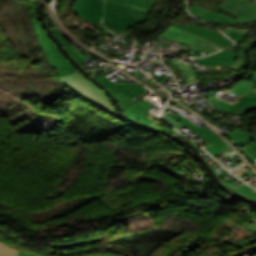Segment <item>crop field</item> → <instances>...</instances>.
<instances>
[{
  "instance_id": "crop-field-1",
  "label": "crop field",
  "mask_w": 256,
  "mask_h": 256,
  "mask_svg": "<svg viewBox=\"0 0 256 256\" xmlns=\"http://www.w3.org/2000/svg\"><path fill=\"white\" fill-rule=\"evenodd\" d=\"M151 8L127 0H106L103 24L110 30L124 33L131 26L145 22Z\"/></svg>"
},
{
  "instance_id": "crop-field-2",
  "label": "crop field",
  "mask_w": 256,
  "mask_h": 256,
  "mask_svg": "<svg viewBox=\"0 0 256 256\" xmlns=\"http://www.w3.org/2000/svg\"><path fill=\"white\" fill-rule=\"evenodd\" d=\"M60 80L81 98L120 118L115 112L110 100L107 99L104 93L94 84H92L87 78L82 76L79 71L65 76Z\"/></svg>"
},
{
  "instance_id": "crop-field-3",
  "label": "crop field",
  "mask_w": 256,
  "mask_h": 256,
  "mask_svg": "<svg viewBox=\"0 0 256 256\" xmlns=\"http://www.w3.org/2000/svg\"><path fill=\"white\" fill-rule=\"evenodd\" d=\"M256 85L246 81L230 89L232 93L237 94L229 103L212 97V93H208V98L219 111H226L230 114H240L249 109L256 107ZM217 93V92H213ZM223 111V112H224Z\"/></svg>"
},
{
  "instance_id": "crop-field-4",
  "label": "crop field",
  "mask_w": 256,
  "mask_h": 256,
  "mask_svg": "<svg viewBox=\"0 0 256 256\" xmlns=\"http://www.w3.org/2000/svg\"><path fill=\"white\" fill-rule=\"evenodd\" d=\"M38 39L45 50L47 59L56 68L60 78L77 71L75 67L60 53L50 38L44 32L38 18H32Z\"/></svg>"
},
{
  "instance_id": "crop-field-5",
  "label": "crop field",
  "mask_w": 256,
  "mask_h": 256,
  "mask_svg": "<svg viewBox=\"0 0 256 256\" xmlns=\"http://www.w3.org/2000/svg\"><path fill=\"white\" fill-rule=\"evenodd\" d=\"M159 36L190 45V46L186 47V51L190 50V49H196V48H201L202 50H204L206 52L209 51L211 53L214 51H217L215 48H213L207 44L211 41H208L201 37L190 34L186 31L178 29L174 26H170L165 32H163ZM211 43H213V42H211ZM213 44H215V43H213ZM215 45H217V44H215ZM217 46H219L221 49L224 48L220 45H217Z\"/></svg>"
},
{
  "instance_id": "crop-field-6",
  "label": "crop field",
  "mask_w": 256,
  "mask_h": 256,
  "mask_svg": "<svg viewBox=\"0 0 256 256\" xmlns=\"http://www.w3.org/2000/svg\"><path fill=\"white\" fill-rule=\"evenodd\" d=\"M219 8L239 16L234 20L237 23H246L256 20V1L225 0L223 6Z\"/></svg>"
},
{
  "instance_id": "crop-field-7",
  "label": "crop field",
  "mask_w": 256,
  "mask_h": 256,
  "mask_svg": "<svg viewBox=\"0 0 256 256\" xmlns=\"http://www.w3.org/2000/svg\"><path fill=\"white\" fill-rule=\"evenodd\" d=\"M103 8V0H78L73 6V10L77 15L94 23L101 21Z\"/></svg>"
},
{
  "instance_id": "crop-field-8",
  "label": "crop field",
  "mask_w": 256,
  "mask_h": 256,
  "mask_svg": "<svg viewBox=\"0 0 256 256\" xmlns=\"http://www.w3.org/2000/svg\"><path fill=\"white\" fill-rule=\"evenodd\" d=\"M172 25L178 27V28H181L183 30H186L190 33H193V34H196L198 36H201V37H204L206 39H209L215 43H218L224 47H227L229 46V39H227L225 36H223L222 34L216 32V31H213V30H210V29H207V28H204V27H201V26H198V25H194V24H189L187 26H181L177 23H173Z\"/></svg>"
},
{
  "instance_id": "crop-field-9",
  "label": "crop field",
  "mask_w": 256,
  "mask_h": 256,
  "mask_svg": "<svg viewBox=\"0 0 256 256\" xmlns=\"http://www.w3.org/2000/svg\"><path fill=\"white\" fill-rule=\"evenodd\" d=\"M95 79L105 85L113 93L114 96L123 92L133 98L147 91L145 88L138 84H114L103 75Z\"/></svg>"
},
{
  "instance_id": "crop-field-10",
  "label": "crop field",
  "mask_w": 256,
  "mask_h": 256,
  "mask_svg": "<svg viewBox=\"0 0 256 256\" xmlns=\"http://www.w3.org/2000/svg\"><path fill=\"white\" fill-rule=\"evenodd\" d=\"M189 11L194 15L206 21H218L224 23H235L232 18L221 15L219 13L204 9L195 3L189 5Z\"/></svg>"
},
{
  "instance_id": "crop-field-11",
  "label": "crop field",
  "mask_w": 256,
  "mask_h": 256,
  "mask_svg": "<svg viewBox=\"0 0 256 256\" xmlns=\"http://www.w3.org/2000/svg\"><path fill=\"white\" fill-rule=\"evenodd\" d=\"M235 52L221 51L219 53L196 59L197 62L203 65H221V64H232L234 61Z\"/></svg>"
},
{
  "instance_id": "crop-field-12",
  "label": "crop field",
  "mask_w": 256,
  "mask_h": 256,
  "mask_svg": "<svg viewBox=\"0 0 256 256\" xmlns=\"http://www.w3.org/2000/svg\"><path fill=\"white\" fill-rule=\"evenodd\" d=\"M173 117L178 119L179 121H181L183 124H185L187 127L191 128L195 132L199 133L201 136L206 138L208 141H210L217 147L220 148V147L226 145L219 138H217L212 132H210L208 129H206L204 126L199 128L195 124L191 123L190 121H188L187 119L183 118L182 116H180L178 114Z\"/></svg>"
},
{
  "instance_id": "crop-field-13",
  "label": "crop field",
  "mask_w": 256,
  "mask_h": 256,
  "mask_svg": "<svg viewBox=\"0 0 256 256\" xmlns=\"http://www.w3.org/2000/svg\"><path fill=\"white\" fill-rule=\"evenodd\" d=\"M225 134L229 136L235 142V144L239 147L243 145V143L247 140L248 137L256 140V136L246 134L242 131H230ZM240 141H242V143H240Z\"/></svg>"
},
{
  "instance_id": "crop-field-14",
  "label": "crop field",
  "mask_w": 256,
  "mask_h": 256,
  "mask_svg": "<svg viewBox=\"0 0 256 256\" xmlns=\"http://www.w3.org/2000/svg\"><path fill=\"white\" fill-rule=\"evenodd\" d=\"M52 31L55 33L57 38L60 40V42L63 44V46L66 48V50L69 52V54L72 56V58L77 61L80 64H84L85 62L78 56V54L70 47V45L66 42V40L60 35V33L53 28Z\"/></svg>"
},
{
  "instance_id": "crop-field-15",
  "label": "crop field",
  "mask_w": 256,
  "mask_h": 256,
  "mask_svg": "<svg viewBox=\"0 0 256 256\" xmlns=\"http://www.w3.org/2000/svg\"><path fill=\"white\" fill-rule=\"evenodd\" d=\"M249 29H237L232 27H227L225 30L226 34L230 36L233 40L239 43L241 40L240 36H245Z\"/></svg>"
},
{
  "instance_id": "crop-field-16",
  "label": "crop field",
  "mask_w": 256,
  "mask_h": 256,
  "mask_svg": "<svg viewBox=\"0 0 256 256\" xmlns=\"http://www.w3.org/2000/svg\"><path fill=\"white\" fill-rule=\"evenodd\" d=\"M246 228L251 230V231H253L254 233H256V222L250 224ZM255 242H256V237H253V238H250V239H247V240L235 243L233 245H234L235 248H240V247H244V246H247V245L255 243Z\"/></svg>"
},
{
  "instance_id": "crop-field-17",
  "label": "crop field",
  "mask_w": 256,
  "mask_h": 256,
  "mask_svg": "<svg viewBox=\"0 0 256 256\" xmlns=\"http://www.w3.org/2000/svg\"><path fill=\"white\" fill-rule=\"evenodd\" d=\"M115 98H117L122 109L135 102L131 97H129L123 93L116 96Z\"/></svg>"
},
{
  "instance_id": "crop-field-18",
  "label": "crop field",
  "mask_w": 256,
  "mask_h": 256,
  "mask_svg": "<svg viewBox=\"0 0 256 256\" xmlns=\"http://www.w3.org/2000/svg\"><path fill=\"white\" fill-rule=\"evenodd\" d=\"M124 112L126 113L127 116H130L133 120L139 122L126 108H125ZM140 123H141V122H140ZM143 123H144V124H147V125H149V126L157 127V128H160V129H163V130L172 132V133L175 132V131H173V130H172L171 128H169V127H161V126L156 125V124L154 123V121L151 120V119H150L149 121L143 122Z\"/></svg>"
},
{
  "instance_id": "crop-field-19",
  "label": "crop field",
  "mask_w": 256,
  "mask_h": 256,
  "mask_svg": "<svg viewBox=\"0 0 256 256\" xmlns=\"http://www.w3.org/2000/svg\"><path fill=\"white\" fill-rule=\"evenodd\" d=\"M19 251L11 249L6 245L0 243V256H18L16 255Z\"/></svg>"
},
{
  "instance_id": "crop-field-20",
  "label": "crop field",
  "mask_w": 256,
  "mask_h": 256,
  "mask_svg": "<svg viewBox=\"0 0 256 256\" xmlns=\"http://www.w3.org/2000/svg\"><path fill=\"white\" fill-rule=\"evenodd\" d=\"M237 192H239L243 195H247V196L256 198V190L247 185L244 186L243 188L239 189Z\"/></svg>"
},
{
  "instance_id": "crop-field-21",
  "label": "crop field",
  "mask_w": 256,
  "mask_h": 256,
  "mask_svg": "<svg viewBox=\"0 0 256 256\" xmlns=\"http://www.w3.org/2000/svg\"><path fill=\"white\" fill-rule=\"evenodd\" d=\"M165 120L173 127L177 128V129H181L182 127H184L185 125H183L181 122L177 121L176 119H174L173 117L165 114Z\"/></svg>"
},
{
  "instance_id": "crop-field-22",
  "label": "crop field",
  "mask_w": 256,
  "mask_h": 256,
  "mask_svg": "<svg viewBox=\"0 0 256 256\" xmlns=\"http://www.w3.org/2000/svg\"><path fill=\"white\" fill-rule=\"evenodd\" d=\"M132 2H137V3H142V4H146V5H150L153 6L155 0H129Z\"/></svg>"
},
{
  "instance_id": "crop-field-23",
  "label": "crop field",
  "mask_w": 256,
  "mask_h": 256,
  "mask_svg": "<svg viewBox=\"0 0 256 256\" xmlns=\"http://www.w3.org/2000/svg\"><path fill=\"white\" fill-rule=\"evenodd\" d=\"M18 255H22V256H37V255H33V254H30V253H27V252H23V251H20L18 253ZM104 256V255H102ZM113 256H117V255H113Z\"/></svg>"
},
{
  "instance_id": "crop-field-24",
  "label": "crop field",
  "mask_w": 256,
  "mask_h": 256,
  "mask_svg": "<svg viewBox=\"0 0 256 256\" xmlns=\"http://www.w3.org/2000/svg\"><path fill=\"white\" fill-rule=\"evenodd\" d=\"M218 149H219V148H217V147L214 146V145H212V146L206 148V150H208L210 153H212V152H214V151H216V150H218Z\"/></svg>"
},
{
  "instance_id": "crop-field-25",
  "label": "crop field",
  "mask_w": 256,
  "mask_h": 256,
  "mask_svg": "<svg viewBox=\"0 0 256 256\" xmlns=\"http://www.w3.org/2000/svg\"><path fill=\"white\" fill-rule=\"evenodd\" d=\"M97 27L100 28V29H102V30L105 31L106 33H109V34H111V35L117 36V35H115V34L109 32L108 30H106L107 28L105 29L104 27L100 26L99 24L97 25Z\"/></svg>"
},
{
  "instance_id": "crop-field-26",
  "label": "crop field",
  "mask_w": 256,
  "mask_h": 256,
  "mask_svg": "<svg viewBox=\"0 0 256 256\" xmlns=\"http://www.w3.org/2000/svg\"><path fill=\"white\" fill-rule=\"evenodd\" d=\"M227 173H229V172L226 171V170L219 172V174H220L221 176H223V175H225V174H227Z\"/></svg>"
}]
</instances>
